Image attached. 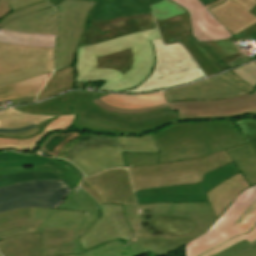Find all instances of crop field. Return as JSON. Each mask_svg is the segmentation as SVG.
I'll use <instances>...</instances> for the list:
<instances>
[{
    "mask_svg": "<svg viewBox=\"0 0 256 256\" xmlns=\"http://www.w3.org/2000/svg\"><path fill=\"white\" fill-rule=\"evenodd\" d=\"M54 49L0 43V87L53 71Z\"/></svg>",
    "mask_w": 256,
    "mask_h": 256,
    "instance_id": "3316defc",
    "label": "crop field"
},
{
    "mask_svg": "<svg viewBox=\"0 0 256 256\" xmlns=\"http://www.w3.org/2000/svg\"><path fill=\"white\" fill-rule=\"evenodd\" d=\"M98 215L86 214L81 223L74 231V243H75V254L83 253L82 247L80 245L79 237L87 232L98 219Z\"/></svg>",
    "mask_w": 256,
    "mask_h": 256,
    "instance_id": "d23c7cc5",
    "label": "crop field"
},
{
    "mask_svg": "<svg viewBox=\"0 0 256 256\" xmlns=\"http://www.w3.org/2000/svg\"><path fill=\"white\" fill-rule=\"evenodd\" d=\"M3 256H41V234H25L0 241Z\"/></svg>",
    "mask_w": 256,
    "mask_h": 256,
    "instance_id": "eef30255",
    "label": "crop field"
},
{
    "mask_svg": "<svg viewBox=\"0 0 256 256\" xmlns=\"http://www.w3.org/2000/svg\"><path fill=\"white\" fill-rule=\"evenodd\" d=\"M56 9L51 7L17 18L2 28L35 34H55Z\"/></svg>",
    "mask_w": 256,
    "mask_h": 256,
    "instance_id": "00972430",
    "label": "crop field"
},
{
    "mask_svg": "<svg viewBox=\"0 0 256 256\" xmlns=\"http://www.w3.org/2000/svg\"><path fill=\"white\" fill-rule=\"evenodd\" d=\"M223 1H225V0H217V1L213 2V3H211V4L206 5V7H207V9H209V8L215 6V5H217V4H219V3L223 2Z\"/></svg>",
    "mask_w": 256,
    "mask_h": 256,
    "instance_id": "7b73153f",
    "label": "crop field"
},
{
    "mask_svg": "<svg viewBox=\"0 0 256 256\" xmlns=\"http://www.w3.org/2000/svg\"><path fill=\"white\" fill-rule=\"evenodd\" d=\"M184 7L190 15L192 34L199 42L223 40L232 33L226 30L199 0H171Z\"/></svg>",
    "mask_w": 256,
    "mask_h": 256,
    "instance_id": "bc2a9ffb",
    "label": "crop field"
},
{
    "mask_svg": "<svg viewBox=\"0 0 256 256\" xmlns=\"http://www.w3.org/2000/svg\"><path fill=\"white\" fill-rule=\"evenodd\" d=\"M202 2V4H208V3H211L213 2L214 0H200Z\"/></svg>",
    "mask_w": 256,
    "mask_h": 256,
    "instance_id": "78b8030e",
    "label": "crop field"
},
{
    "mask_svg": "<svg viewBox=\"0 0 256 256\" xmlns=\"http://www.w3.org/2000/svg\"><path fill=\"white\" fill-rule=\"evenodd\" d=\"M42 233V256L74 254L73 232L62 228H38Z\"/></svg>",
    "mask_w": 256,
    "mask_h": 256,
    "instance_id": "730fd06b",
    "label": "crop field"
},
{
    "mask_svg": "<svg viewBox=\"0 0 256 256\" xmlns=\"http://www.w3.org/2000/svg\"><path fill=\"white\" fill-rule=\"evenodd\" d=\"M58 209L78 210L85 213L101 215L99 204L85 191L77 187L70 192Z\"/></svg>",
    "mask_w": 256,
    "mask_h": 256,
    "instance_id": "d32e631a",
    "label": "crop field"
},
{
    "mask_svg": "<svg viewBox=\"0 0 256 256\" xmlns=\"http://www.w3.org/2000/svg\"><path fill=\"white\" fill-rule=\"evenodd\" d=\"M105 94L82 91L70 92L52 98L46 103L41 102L16 109L22 112L46 115H77L72 128L108 134L139 135L152 132L170 123L179 122L177 112H170L168 107L145 114L119 115L101 110L90 102Z\"/></svg>",
    "mask_w": 256,
    "mask_h": 256,
    "instance_id": "34b2d1b8",
    "label": "crop field"
},
{
    "mask_svg": "<svg viewBox=\"0 0 256 256\" xmlns=\"http://www.w3.org/2000/svg\"><path fill=\"white\" fill-rule=\"evenodd\" d=\"M0 42L20 46L54 48V35L21 34L0 29Z\"/></svg>",
    "mask_w": 256,
    "mask_h": 256,
    "instance_id": "1d83c4d3",
    "label": "crop field"
},
{
    "mask_svg": "<svg viewBox=\"0 0 256 256\" xmlns=\"http://www.w3.org/2000/svg\"><path fill=\"white\" fill-rule=\"evenodd\" d=\"M234 74L248 82L251 86L256 85V64L252 63L247 66L231 70Z\"/></svg>",
    "mask_w": 256,
    "mask_h": 256,
    "instance_id": "25e5ab78",
    "label": "crop field"
},
{
    "mask_svg": "<svg viewBox=\"0 0 256 256\" xmlns=\"http://www.w3.org/2000/svg\"><path fill=\"white\" fill-rule=\"evenodd\" d=\"M69 256H134L127 244L118 240L112 243L104 244L85 254L69 255Z\"/></svg>",
    "mask_w": 256,
    "mask_h": 256,
    "instance_id": "c035e120",
    "label": "crop field"
},
{
    "mask_svg": "<svg viewBox=\"0 0 256 256\" xmlns=\"http://www.w3.org/2000/svg\"><path fill=\"white\" fill-rule=\"evenodd\" d=\"M123 207L135 235L127 243L135 256L172 252L205 233L217 220L208 202L148 204L140 205V210Z\"/></svg>",
    "mask_w": 256,
    "mask_h": 256,
    "instance_id": "ac0d7876",
    "label": "crop field"
},
{
    "mask_svg": "<svg viewBox=\"0 0 256 256\" xmlns=\"http://www.w3.org/2000/svg\"><path fill=\"white\" fill-rule=\"evenodd\" d=\"M57 1H58V0H51L52 3H55V2H57Z\"/></svg>",
    "mask_w": 256,
    "mask_h": 256,
    "instance_id": "0f1d7ab4",
    "label": "crop field"
},
{
    "mask_svg": "<svg viewBox=\"0 0 256 256\" xmlns=\"http://www.w3.org/2000/svg\"><path fill=\"white\" fill-rule=\"evenodd\" d=\"M203 126V128H201ZM161 153H124L128 167L203 158L212 153L246 144L234 124H185L154 135Z\"/></svg>",
    "mask_w": 256,
    "mask_h": 256,
    "instance_id": "412701ff",
    "label": "crop field"
},
{
    "mask_svg": "<svg viewBox=\"0 0 256 256\" xmlns=\"http://www.w3.org/2000/svg\"><path fill=\"white\" fill-rule=\"evenodd\" d=\"M11 13L7 0H0V19Z\"/></svg>",
    "mask_w": 256,
    "mask_h": 256,
    "instance_id": "9d1cf04e",
    "label": "crop field"
},
{
    "mask_svg": "<svg viewBox=\"0 0 256 256\" xmlns=\"http://www.w3.org/2000/svg\"><path fill=\"white\" fill-rule=\"evenodd\" d=\"M34 219L44 220L39 227H63L74 231L85 216L77 211L33 208Z\"/></svg>",
    "mask_w": 256,
    "mask_h": 256,
    "instance_id": "ae1a2a85",
    "label": "crop field"
},
{
    "mask_svg": "<svg viewBox=\"0 0 256 256\" xmlns=\"http://www.w3.org/2000/svg\"><path fill=\"white\" fill-rule=\"evenodd\" d=\"M240 172L233 163L204 175V184L168 186L136 191L138 204L208 201L205 192Z\"/></svg>",
    "mask_w": 256,
    "mask_h": 256,
    "instance_id": "22f410ed",
    "label": "crop field"
},
{
    "mask_svg": "<svg viewBox=\"0 0 256 256\" xmlns=\"http://www.w3.org/2000/svg\"><path fill=\"white\" fill-rule=\"evenodd\" d=\"M170 111L177 110L180 122L235 117L256 113V92L222 100L167 103Z\"/></svg>",
    "mask_w": 256,
    "mask_h": 256,
    "instance_id": "cbeb9de0",
    "label": "crop field"
},
{
    "mask_svg": "<svg viewBox=\"0 0 256 256\" xmlns=\"http://www.w3.org/2000/svg\"><path fill=\"white\" fill-rule=\"evenodd\" d=\"M100 208L102 217L80 237L84 253L118 239L127 243L134 236L124 217L122 205L102 204Z\"/></svg>",
    "mask_w": 256,
    "mask_h": 256,
    "instance_id": "d9b57169",
    "label": "crop field"
},
{
    "mask_svg": "<svg viewBox=\"0 0 256 256\" xmlns=\"http://www.w3.org/2000/svg\"><path fill=\"white\" fill-rule=\"evenodd\" d=\"M84 142H80L73 146L71 150L68 152L65 159L71 160L75 154H77L79 151L87 148H93V147H99L104 145H115V141L117 137L113 136H105V135H92V134H86L81 135Z\"/></svg>",
    "mask_w": 256,
    "mask_h": 256,
    "instance_id": "b80d0937",
    "label": "crop field"
},
{
    "mask_svg": "<svg viewBox=\"0 0 256 256\" xmlns=\"http://www.w3.org/2000/svg\"><path fill=\"white\" fill-rule=\"evenodd\" d=\"M149 7L153 12L156 21L187 13L185 9L179 7L178 5L169 0H164L158 4H152Z\"/></svg>",
    "mask_w": 256,
    "mask_h": 256,
    "instance_id": "c21b1889",
    "label": "crop field"
},
{
    "mask_svg": "<svg viewBox=\"0 0 256 256\" xmlns=\"http://www.w3.org/2000/svg\"><path fill=\"white\" fill-rule=\"evenodd\" d=\"M24 233H37V227H22L11 231L0 233V239H5L11 236H16Z\"/></svg>",
    "mask_w": 256,
    "mask_h": 256,
    "instance_id": "1f2cbd36",
    "label": "crop field"
},
{
    "mask_svg": "<svg viewBox=\"0 0 256 256\" xmlns=\"http://www.w3.org/2000/svg\"><path fill=\"white\" fill-rule=\"evenodd\" d=\"M256 246V242L252 245H250L246 240L240 243H237L233 246H231L230 248L214 255V256H234L237 255L251 247Z\"/></svg>",
    "mask_w": 256,
    "mask_h": 256,
    "instance_id": "89e229c0",
    "label": "crop field"
},
{
    "mask_svg": "<svg viewBox=\"0 0 256 256\" xmlns=\"http://www.w3.org/2000/svg\"><path fill=\"white\" fill-rule=\"evenodd\" d=\"M94 2L63 0L57 4V38L54 71L72 66L76 49Z\"/></svg>",
    "mask_w": 256,
    "mask_h": 256,
    "instance_id": "5a996713",
    "label": "crop field"
},
{
    "mask_svg": "<svg viewBox=\"0 0 256 256\" xmlns=\"http://www.w3.org/2000/svg\"><path fill=\"white\" fill-rule=\"evenodd\" d=\"M74 83L75 76L73 66L62 71L55 72L46 83L35 101L53 96L60 92L70 90L72 89Z\"/></svg>",
    "mask_w": 256,
    "mask_h": 256,
    "instance_id": "120bbe31",
    "label": "crop field"
},
{
    "mask_svg": "<svg viewBox=\"0 0 256 256\" xmlns=\"http://www.w3.org/2000/svg\"><path fill=\"white\" fill-rule=\"evenodd\" d=\"M76 137H80V134L69 133L53 135L43 144L41 149L56 157L60 150L66 145V143Z\"/></svg>",
    "mask_w": 256,
    "mask_h": 256,
    "instance_id": "b54c1fbb",
    "label": "crop field"
},
{
    "mask_svg": "<svg viewBox=\"0 0 256 256\" xmlns=\"http://www.w3.org/2000/svg\"><path fill=\"white\" fill-rule=\"evenodd\" d=\"M100 100L112 106L125 109L153 107L166 103L161 92L151 93L147 95L109 94L100 98Z\"/></svg>",
    "mask_w": 256,
    "mask_h": 256,
    "instance_id": "d3111659",
    "label": "crop field"
},
{
    "mask_svg": "<svg viewBox=\"0 0 256 256\" xmlns=\"http://www.w3.org/2000/svg\"><path fill=\"white\" fill-rule=\"evenodd\" d=\"M12 13L0 20V28L14 18L53 6L50 0H8Z\"/></svg>",
    "mask_w": 256,
    "mask_h": 256,
    "instance_id": "e1f06a70",
    "label": "crop field"
},
{
    "mask_svg": "<svg viewBox=\"0 0 256 256\" xmlns=\"http://www.w3.org/2000/svg\"><path fill=\"white\" fill-rule=\"evenodd\" d=\"M62 1V0H60ZM59 1V2H60ZM96 1L89 17L90 21L115 19L151 13L148 5L161 0H90ZM57 2V3H59ZM53 4L54 6L57 4Z\"/></svg>",
    "mask_w": 256,
    "mask_h": 256,
    "instance_id": "92a150f3",
    "label": "crop field"
},
{
    "mask_svg": "<svg viewBox=\"0 0 256 256\" xmlns=\"http://www.w3.org/2000/svg\"><path fill=\"white\" fill-rule=\"evenodd\" d=\"M241 128L243 138L250 145L256 155V119L246 118L236 122Z\"/></svg>",
    "mask_w": 256,
    "mask_h": 256,
    "instance_id": "5d738f31",
    "label": "crop field"
},
{
    "mask_svg": "<svg viewBox=\"0 0 256 256\" xmlns=\"http://www.w3.org/2000/svg\"><path fill=\"white\" fill-rule=\"evenodd\" d=\"M82 141V138H76L74 140H72L71 142L67 143V145L61 150V152L59 153L58 157H62L65 158L67 152L70 150V148L75 145L76 143Z\"/></svg>",
    "mask_w": 256,
    "mask_h": 256,
    "instance_id": "1d79db26",
    "label": "crop field"
},
{
    "mask_svg": "<svg viewBox=\"0 0 256 256\" xmlns=\"http://www.w3.org/2000/svg\"><path fill=\"white\" fill-rule=\"evenodd\" d=\"M50 158L42 156H24L12 151L0 153V168L4 167H31L43 165Z\"/></svg>",
    "mask_w": 256,
    "mask_h": 256,
    "instance_id": "0bd39190",
    "label": "crop field"
},
{
    "mask_svg": "<svg viewBox=\"0 0 256 256\" xmlns=\"http://www.w3.org/2000/svg\"><path fill=\"white\" fill-rule=\"evenodd\" d=\"M33 128H37V126L35 124L30 125L26 128H22V129H18V130H5V129H0V132H20V131H26V130H30Z\"/></svg>",
    "mask_w": 256,
    "mask_h": 256,
    "instance_id": "0765c3eb",
    "label": "crop field"
},
{
    "mask_svg": "<svg viewBox=\"0 0 256 256\" xmlns=\"http://www.w3.org/2000/svg\"><path fill=\"white\" fill-rule=\"evenodd\" d=\"M40 131L39 128L34 129V130H30V131H26V132H20V133H0V136L2 137H15V138H25V137H29L31 135H34L36 133H38Z\"/></svg>",
    "mask_w": 256,
    "mask_h": 256,
    "instance_id": "0fb4a251",
    "label": "crop field"
},
{
    "mask_svg": "<svg viewBox=\"0 0 256 256\" xmlns=\"http://www.w3.org/2000/svg\"><path fill=\"white\" fill-rule=\"evenodd\" d=\"M151 42L156 55L153 73L137 88L122 92L150 91L180 85L205 77L180 44L164 46L160 39L152 40Z\"/></svg>",
    "mask_w": 256,
    "mask_h": 256,
    "instance_id": "d8731c3e",
    "label": "crop field"
},
{
    "mask_svg": "<svg viewBox=\"0 0 256 256\" xmlns=\"http://www.w3.org/2000/svg\"><path fill=\"white\" fill-rule=\"evenodd\" d=\"M154 27L156 25L152 14L91 22L90 28L85 27L79 46Z\"/></svg>",
    "mask_w": 256,
    "mask_h": 256,
    "instance_id": "733c2abd",
    "label": "crop field"
},
{
    "mask_svg": "<svg viewBox=\"0 0 256 256\" xmlns=\"http://www.w3.org/2000/svg\"><path fill=\"white\" fill-rule=\"evenodd\" d=\"M53 116L29 115L12 108L0 112V128L18 129L35 123L36 125Z\"/></svg>",
    "mask_w": 256,
    "mask_h": 256,
    "instance_id": "5866460e",
    "label": "crop field"
},
{
    "mask_svg": "<svg viewBox=\"0 0 256 256\" xmlns=\"http://www.w3.org/2000/svg\"><path fill=\"white\" fill-rule=\"evenodd\" d=\"M253 89L248 83L228 71L189 86L163 92L166 101L172 102L228 98L247 94Z\"/></svg>",
    "mask_w": 256,
    "mask_h": 256,
    "instance_id": "5142ce71",
    "label": "crop field"
},
{
    "mask_svg": "<svg viewBox=\"0 0 256 256\" xmlns=\"http://www.w3.org/2000/svg\"><path fill=\"white\" fill-rule=\"evenodd\" d=\"M237 256H256V247L242 253V254H239Z\"/></svg>",
    "mask_w": 256,
    "mask_h": 256,
    "instance_id": "db79e9e6",
    "label": "crop field"
},
{
    "mask_svg": "<svg viewBox=\"0 0 256 256\" xmlns=\"http://www.w3.org/2000/svg\"><path fill=\"white\" fill-rule=\"evenodd\" d=\"M41 179H61V178H59L53 172L1 175L0 186L17 183V182L41 180Z\"/></svg>",
    "mask_w": 256,
    "mask_h": 256,
    "instance_id": "03da06ac",
    "label": "crop field"
},
{
    "mask_svg": "<svg viewBox=\"0 0 256 256\" xmlns=\"http://www.w3.org/2000/svg\"><path fill=\"white\" fill-rule=\"evenodd\" d=\"M256 224V185L242 191L223 215L203 235L185 245V256H198Z\"/></svg>",
    "mask_w": 256,
    "mask_h": 256,
    "instance_id": "e52e79f7",
    "label": "crop field"
},
{
    "mask_svg": "<svg viewBox=\"0 0 256 256\" xmlns=\"http://www.w3.org/2000/svg\"><path fill=\"white\" fill-rule=\"evenodd\" d=\"M42 221L33 220L32 208L0 213V232L21 226H38Z\"/></svg>",
    "mask_w": 256,
    "mask_h": 256,
    "instance_id": "028f5c9d",
    "label": "crop field"
},
{
    "mask_svg": "<svg viewBox=\"0 0 256 256\" xmlns=\"http://www.w3.org/2000/svg\"><path fill=\"white\" fill-rule=\"evenodd\" d=\"M249 12L256 15V5ZM156 23L164 44L180 42L206 76L255 60L253 56L250 57L242 51L235 41L250 38L248 35L256 31V24L227 40L199 43L192 37L188 13Z\"/></svg>",
    "mask_w": 256,
    "mask_h": 256,
    "instance_id": "f4fd0767",
    "label": "crop field"
},
{
    "mask_svg": "<svg viewBox=\"0 0 256 256\" xmlns=\"http://www.w3.org/2000/svg\"><path fill=\"white\" fill-rule=\"evenodd\" d=\"M83 181L88 186L95 184L104 193L106 203L137 206L125 169H111L89 178L85 177Z\"/></svg>",
    "mask_w": 256,
    "mask_h": 256,
    "instance_id": "4a817a6b",
    "label": "crop field"
},
{
    "mask_svg": "<svg viewBox=\"0 0 256 256\" xmlns=\"http://www.w3.org/2000/svg\"><path fill=\"white\" fill-rule=\"evenodd\" d=\"M248 187H250L249 184L240 172L206 192L217 218L221 216L238 194Z\"/></svg>",
    "mask_w": 256,
    "mask_h": 256,
    "instance_id": "a9b5d70f",
    "label": "crop field"
},
{
    "mask_svg": "<svg viewBox=\"0 0 256 256\" xmlns=\"http://www.w3.org/2000/svg\"><path fill=\"white\" fill-rule=\"evenodd\" d=\"M92 103H94L95 105L99 106L101 109H105V110L111 111V112L122 113V114L144 113V112L152 111V110L159 109V108L167 106L165 104V105H161V106H157V107H153V108H147V109L125 110V109H119V108H115V107L109 106V105L105 104L104 102L100 101L99 99H97L95 101H92Z\"/></svg>",
    "mask_w": 256,
    "mask_h": 256,
    "instance_id": "73cf0c24",
    "label": "crop field"
},
{
    "mask_svg": "<svg viewBox=\"0 0 256 256\" xmlns=\"http://www.w3.org/2000/svg\"><path fill=\"white\" fill-rule=\"evenodd\" d=\"M0 256H1V254H0Z\"/></svg>",
    "mask_w": 256,
    "mask_h": 256,
    "instance_id": "e1d0b9f6",
    "label": "crop field"
},
{
    "mask_svg": "<svg viewBox=\"0 0 256 256\" xmlns=\"http://www.w3.org/2000/svg\"><path fill=\"white\" fill-rule=\"evenodd\" d=\"M232 162L225 151L203 159L128 168L134 190L203 183V174Z\"/></svg>",
    "mask_w": 256,
    "mask_h": 256,
    "instance_id": "dd49c442",
    "label": "crop field"
},
{
    "mask_svg": "<svg viewBox=\"0 0 256 256\" xmlns=\"http://www.w3.org/2000/svg\"><path fill=\"white\" fill-rule=\"evenodd\" d=\"M244 239H246L250 244L256 241V225L253 227V229L248 234L239 235V236L231 239L230 241H228V242H226V243H224V244H222V245H220V246H218L200 256H211V255H213V254H215V253H217V252H219V251H221L239 241L244 240Z\"/></svg>",
    "mask_w": 256,
    "mask_h": 256,
    "instance_id": "425ffa30",
    "label": "crop field"
},
{
    "mask_svg": "<svg viewBox=\"0 0 256 256\" xmlns=\"http://www.w3.org/2000/svg\"><path fill=\"white\" fill-rule=\"evenodd\" d=\"M256 0H227L209 11L227 30L236 34L256 23V16L248 11Z\"/></svg>",
    "mask_w": 256,
    "mask_h": 256,
    "instance_id": "214f88e0",
    "label": "crop field"
},
{
    "mask_svg": "<svg viewBox=\"0 0 256 256\" xmlns=\"http://www.w3.org/2000/svg\"><path fill=\"white\" fill-rule=\"evenodd\" d=\"M71 190L62 180H42L0 187V212L24 208H57Z\"/></svg>",
    "mask_w": 256,
    "mask_h": 256,
    "instance_id": "28ad6ade",
    "label": "crop field"
},
{
    "mask_svg": "<svg viewBox=\"0 0 256 256\" xmlns=\"http://www.w3.org/2000/svg\"><path fill=\"white\" fill-rule=\"evenodd\" d=\"M80 187H82L91 196H93L99 204L105 203V197L103 193L95 185L88 187L84 182H81Z\"/></svg>",
    "mask_w": 256,
    "mask_h": 256,
    "instance_id": "dbb93151",
    "label": "crop field"
},
{
    "mask_svg": "<svg viewBox=\"0 0 256 256\" xmlns=\"http://www.w3.org/2000/svg\"><path fill=\"white\" fill-rule=\"evenodd\" d=\"M75 117L76 116H56L38 125L41 131L30 138L14 139L0 137V151L9 149H15L18 151L32 150L48 133L59 130H69L75 120Z\"/></svg>",
    "mask_w": 256,
    "mask_h": 256,
    "instance_id": "dafd665d",
    "label": "crop field"
},
{
    "mask_svg": "<svg viewBox=\"0 0 256 256\" xmlns=\"http://www.w3.org/2000/svg\"><path fill=\"white\" fill-rule=\"evenodd\" d=\"M123 152H159L151 135L141 138L121 136L115 147L105 146L79 152L70 161L78 166L85 175L91 176L102 170L114 167H127Z\"/></svg>",
    "mask_w": 256,
    "mask_h": 256,
    "instance_id": "d1516ede",
    "label": "crop field"
},
{
    "mask_svg": "<svg viewBox=\"0 0 256 256\" xmlns=\"http://www.w3.org/2000/svg\"><path fill=\"white\" fill-rule=\"evenodd\" d=\"M158 38L154 28L79 47L76 82L106 80L98 90L135 88L153 71L155 55L149 40Z\"/></svg>",
    "mask_w": 256,
    "mask_h": 256,
    "instance_id": "8a807250",
    "label": "crop field"
},
{
    "mask_svg": "<svg viewBox=\"0 0 256 256\" xmlns=\"http://www.w3.org/2000/svg\"><path fill=\"white\" fill-rule=\"evenodd\" d=\"M43 171H53L72 190L76 187L84 174L73 164L58 158H51L46 165L31 167V168H5L0 169L1 174H11V173H26V172H43Z\"/></svg>",
    "mask_w": 256,
    "mask_h": 256,
    "instance_id": "4177f3b9",
    "label": "crop field"
},
{
    "mask_svg": "<svg viewBox=\"0 0 256 256\" xmlns=\"http://www.w3.org/2000/svg\"><path fill=\"white\" fill-rule=\"evenodd\" d=\"M187 123L223 124V123H233V121H206V122H187ZM182 124H184V123H182ZM171 126H174V125H171ZM171 126H167V127L163 128V129H160V130L154 132V134H157V133L161 132L162 130H164V129L168 128V127H171Z\"/></svg>",
    "mask_w": 256,
    "mask_h": 256,
    "instance_id": "447ae74e",
    "label": "crop field"
},
{
    "mask_svg": "<svg viewBox=\"0 0 256 256\" xmlns=\"http://www.w3.org/2000/svg\"><path fill=\"white\" fill-rule=\"evenodd\" d=\"M51 73L31 78L7 87L0 88V101L35 96Z\"/></svg>",
    "mask_w": 256,
    "mask_h": 256,
    "instance_id": "750c4746",
    "label": "crop field"
},
{
    "mask_svg": "<svg viewBox=\"0 0 256 256\" xmlns=\"http://www.w3.org/2000/svg\"><path fill=\"white\" fill-rule=\"evenodd\" d=\"M233 163L242 172L250 186L256 184V156L249 145L226 150Z\"/></svg>",
    "mask_w": 256,
    "mask_h": 256,
    "instance_id": "bd1437ed",
    "label": "crop field"
}]
</instances>
